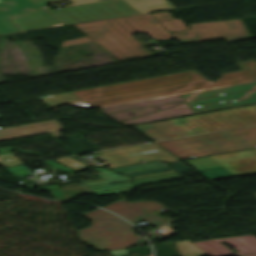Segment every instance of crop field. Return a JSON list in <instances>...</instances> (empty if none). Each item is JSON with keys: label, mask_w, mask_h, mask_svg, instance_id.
Here are the masks:
<instances>
[{"label": "crop field", "mask_w": 256, "mask_h": 256, "mask_svg": "<svg viewBox=\"0 0 256 256\" xmlns=\"http://www.w3.org/2000/svg\"><path fill=\"white\" fill-rule=\"evenodd\" d=\"M242 71L222 74L213 83L196 71L141 79L120 84L72 91L94 108L164 96L195 89L256 80V61L236 63Z\"/></svg>", "instance_id": "obj_1"}, {"label": "crop field", "mask_w": 256, "mask_h": 256, "mask_svg": "<svg viewBox=\"0 0 256 256\" xmlns=\"http://www.w3.org/2000/svg\"><path fill=\"white\" fill-rule=\"evenodd\" d=\"M150 15L151 13H144L73 24L88 36L65 40L61 47L95 41L117 59L148 56L150 54L143 45L157 44L156 40L173 38ZM133 32L148 33L153 39L140 45L131 35Z\"/></svg>", "instance_id": "obj_2"}, {"label": "crop field", "mask_w": 256, "mask_h": 256, "mask_svg": "<svg viewBox=\"0 0 256 256\" xmlns=\"http://www.w3.org/2000/svg\"><path fill=\"white\" fill-rule=\"evenodd\" d=\"M172 8L166 0H110L55 10L45 7L66 24Z\"/></svg>", "instance_id": "obj_3"}, {"label": "crop field", "mask_w": 256, "mask_h": 256, "mask_svg": "<svg viewBox=\"0 0 256 256\" xmlns=\"http://www.w3.org/2000/svg\"><path fill=\"white\" fill-rule=\"evenodd\" d=\"M256 127L158 142L160 146L180 159L189 158L190 155H204L224 151L252 148L256 145ZM231 134L247 147L243 146L227 134ZM180 148H178L177 146Z\"/></svg>", "instance_id": "obj_4"}, {"label": "crop field", "mask_w": 256, "mask_h": 256, "mask_svg": "<svg viewBox=\"0 0 256 256\" xmlns=\"http://www.w3.org/2000/svg\"><path fill=\"white\" fill-rule=\"evenodd\" d=\"M83 215L93 222L90 227L77 231L80 239L87 244L101 251L138 244L133 226L119 217L101 209Z\"/></svg>", "instance_id": "obj_5"}, {"label": "crop field", "mask_w": 256, "mask_h": 256, "mask_svg": "<svg viewBox=\"0 0 256 256\" xmlns=\"http://www.w3.org/2000/svg\"><path fill=\"white\" fill-rule=\"evenodd\" d=\"M168 30H183L173 32L177 40L183 43L225 38L228 42L246 40L250 38L241 20H227L210 23L190 24L191 29L183 25L180 19H174L168 12L153 14Z\"/></svg>", "instance_id": "obj_6"}, {"label": "crop field", "mask_w": 256, "mask_h": 256, "mask_svg": "<svg viewBox=\"0 0 256 256\" xmlns=\"http://www.w3.org/2000/svg\"><path fill=\"white\" fill-rule=\"evenodd\" d=\"M172 121L192 135L256 125V105L177 118Z\"/></svg>", "instance_id": "obj_7"}, {"label": "crop field", "mask_w": 256, "mask_h": 256, "mask_svg": "<svg viewBox=\"0 0 256 256\" xmlns=\"http://www.w3.org/2000/svg\"><path fill=\"white\" fill-rule=\"evenodd\" d=\"M208 179L256 172V149L186 160Z\"/></svg>", "instance_id": "obj_8"}, {"label": "crop field", "mask_w": 256, "mask_h": 256, "mask_svg": "<svg viewBox=\"0 0 256 256\" xmlns=\"http://www.w3.org/2000/svg\"><path fill=\"white\" fill-rule=\"evenodd\" d=\"M195 112L256 102V81L184 94Z\"/></svg>", "instance_id": "obj_9"}, {"label": "crop field", "mask_w": 256, "mask_h": 256, "mask_svg": "<svg viewBox=\"0 0 256 256\" xmlns=\"http://www.w3.org/2000/svg\"><path fill=\"white\" fill-rule=\"evenodd\" d=\"M96 158L104 159L105 162L103 163L109 167L134 164L141 160L162 159L172 161L177 159L153 143L102 152Z\"/></svg>", "instance_id": "obj_10"}, {"label": "crop field", "mask_w": 256, "mask_h": 256, "mask_svg": "<svg viewBox=\"0 0 256 256\" xmlns=\"http://www.w3.org/2000/svg\"><path fill=\"white\" fill-rule=\"evenodd\" d=\"M222 240L232 246L239 253H233L220 244L219 242ZM194 244L210 256H256V238L252 235L200 241L194 242Z\"/></svg>", "instance_id": "obj_11"}, {"label": "crop field", "mask_w": 256, "mask_h": 256, "mask_svg": "<svg viewBox=\"0 0 256 256\" xmlns=\"http://www.w3.org/2000/svg\"><path fill=\"white\" fill-rule=\"evenodd\" d=\"M163 207L162 205L158 204L157 202H125L120 200L103 208H107L121 217L125 218L126 220L134 223L138 220H145L157 227L167 223L160 219L159 217L155 216L154 214L150 213L149 211H153L155 209ZM156 227V228H157Z\"/></svg>", "instance_id": "obj_12"}, {"label": "crop field", "mask_w": 256, "mask_h": 256, "mask_svg": "<svg viewBox=\"0 0 256 256\" xmlns=\"http://www.w3.org/2000/svg\"><path fill=\"white\" fill-rule=\"evenodd\" d=\"M0 33L20 31L8 19L38 8L29 0H0Z\"/></svg>", "instance_id": "obj_13"}, {"label": "crop field", "mask_w": 256, "mask_h": 256, "mask_svg": "<svg viewBox=\"0 0 256 256\" xmlns=\"http://www.w3.org/2000/svg\"><path fill=\"white\" fill-rule=\"evenodd\" d=\"M61 129L63 128L57 121L27 125L12 129L1 130L0 140L36 135L47 132H50L53 137L56 138L61 136L57 131Z\"/></svg>", "instance_id": "obj_14"}, {"label": "crop field", "mask_w": 256, "mask_h": 256, "mask_svg": "<svg viewBox=\"0 0 256 256\" xmlns=\"http://www.w3.org/2000/svg\"><path fill=\"white\" fill-rule=\"evenodd\" d=\"M12 21L23 30L63 24L42 9L14 18Z\"/></svg>", "instance_id": "obj_15"}, {"label": "crop field", "mask_w": 256, "mask_h": 256, "mask_svg": "<svg viewBox=\"0 0 256 256\" xmlns=\"http://www.w3.org/2000/svg\"><path fill=\"white\" fill-rule=\"evenodd\" d=\"M168 169L169 168H167L161 162L155 161V162L132 165V166H127V167H122V168H117V169H112V170L119 172L121 174H128L130 176H134V175H140V174L157 172V171L168 170ZM177 178H180V177L179 176L170 177V178H165V179L137 183L135 185L138 186V185H144V184L155 183V182L166 181V180L177 179Z\"/></svg>", "instance_id": "obj_16"}, {"label": "crop field", "mask_w": 256, "mask_h": 256, "mask_svg": "<svg viewBox=\"0 0 256 256\" xmlns=\"http://www.w3.org/2000/svg\"><path fill=\"white\" fill-rule=\"evenodd\" d=\"M40 189L41 191L50 190L55 200L74 199L75 195L90 193L82 186L60 188L59 185H51V186L40 187ZM61 189L63 190V192L66 194L67 197L65 196V194L62 192Z\"/></svg>", "instance_id": "obj_17"}, {"label": "crop field", "mask_w": 256, "mask_h": 256, "mask_svg": "<svg viewBox=\"0 0 256 256\" xmlns=\"http://www.w3.org/2000/svg\"><path fill=\"white\" fill-rule=\"evenodd\" d=\"M181 256H204L206 255L201 249L189 242L188 240L175 242Z\"/></svg>", "instance_id": "obj_18"}, {"label": "crop field", "mask_w": 256, "mask_h": 256, "mask_svg": "<svg viewBox=\"0 0 256 256\" xmlns=\"http://www.w3.org/2000/svg\"><path fill=\"white\" fill-rule=\"evenodd\" d=\"M39 99L50 107H54L59 103L74 102L79 100L69 93L39 97Z\"/></svg>", "instance_id": "obj_19"}, {"label": "crop field", "mask_w": 256, "mask_h": 256, "mask_svg": "<svg viewBox=\"0 0 256 256\" xmlns=\"http://www.w3.org/2000/svg\"><path fill=\"white\" fill-rule=\"evenodd\" d=\"M63 159H67V160L65 161ZM55 161H57L63 165H66L74 170L83 169L86 166V164H84L80 161H77L71 157L59 158V159H55Z\"/></svg>", "instance_id": "obj_20"}, {"label": "crop field", "mask_w": 256, "mask_h": 256, "mask_svg": "<svg viewBox=\"0 0 256 256\" xmlns=\"http://www.w3.org/2000/svg\"><path fill=\"white\" fill-rule=\"evenodd\" d=\"M0 161H1L2 167L22 164L21 161L15 158L13 155L0 157Z\"/></svg>", "instance_id": "obj_21"}, {"label": "crop field", "mask_w": 256, "mask_h": 256, "mask_svg": "<svg viewBox=\"0 0 256 256\" xmlns=\"http://www.w3.org/2000/svg\"><path fill=\"white\" fill-rule=\"evenodd\" d=\"M169 166L172 167L176 172H178L184 178H186V176H184L182 174L183 172L193 171V170L189 169L187 166H185L181 161L171 163V164H169Z\"/></svg>", "instance_id": "obj_22"}, {"label": "crop field", "mask_w": 256, "mask_h": 256, "mask_svg": "<svg viewBox=\"0 0 256 256\" xmlns=\"http://www.w3.org/2000/svg\"><path fill=\"white\" fill-rule=\"evenodd\" d=\"M5 170L9 171L10 173H12L14 175L19 174V173L24 172V171H27V169H25L23 165L14 166V167H7V168H5Z\"/></svg>", "instance_id": "obj_23"}, {"label": "crop field", "mask_w": 256, "mask_h": 256, "mask_svg": "<svg viewBox=\"0 0 256 256\" xmlns=\"http://www.w3.org/2000/svg\"><path fill=\"white\" fill-rule=\"evenodd\" d=\"M45 163H47V164H48L49 166H51V167L57 166V167H59V168L65 170V171H67V172L74 171V170H72V169H70V168H67V167H65V166H63V165H61V164H58V163H56V162H54V161H52V160L46 161Z\"/></svg>", "instance_id": "obj_24"}, {"label": "crop field", "mask_w": 256, "mask_h": 256, "mask_svg": "<svg viewBox=\"0 0 256 256\" xmlns=\"http://www.w3.org/2000/svg\"><path fill=\"white\" fill-rule=\"evenodd\" d=\"M32 1H34L37 4L43 6V5H47V4L53 3L55 1H58V0H32Z\"/></svg>", "instance_id": "obj_25"}, {"label": "crop field", "mask_w": 256, "mask_h": 256, "mask_svg": "<svg viewBox=\"0 0 256 256\" xmlns=\"http://www.w3.org/2000/svg\"><path fill=\"white\" fill-rule=\"evenodd\" d=\"M69 1L72 2L74 5H76V4L86 3V2L97 1V0H69Z\"/></svg>", "instance_id": "obj_26"}, {"label": "crop field", "mask_w": 256, "mask_h": 256, "mask_svg": "<svg viewBox=\"0 0 256 256\" xmlns=\"http://www.w3.org/2000/svg\"><path fill=\"white\" fill-rule=\"evenodd\" d=\"M94 181H100V179H96V180H88L86 182H94Z\"/></svg>", "instance_id": "obj_27"}, {"label": "crop field", "mask_w": 256, "mask_h": 256, "mask_svg": "<svg viewBox=\"0 0 256 256\" xmlns=\"http://www.w3.org/2000/svg\"><path fill=\"white\" fill-rule=\"evenodd\" d=\"M255 195H256V193H255Z\"/></svg>", "instance_id": "obj_28"}]
</instances>
